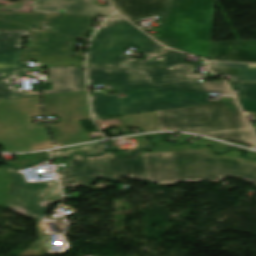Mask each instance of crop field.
Segmentation results:
<instances>
[{
  "instance_id": "obj_1",
  "label": "crop field",
  "mask_w": 256,
  "mask_h": 256,
  "mask_svg": "<svg viewBox=\"0 0 256 256\" xmlns=\"http://www.w3.org/2000/svg\"><path fill=\"white\" fill-rule=\"evenodd\" d=\"M185 55L166 49L164 71L168 85L153 86L144 70L87 68L89 87L110 84L115 93L90 95L94 118L151 112L208 104L206 93L194 82L191 64Z\"/></svg>"
},
{
  "instance_id": "obj_2",
  "label": "crop field",
  "mask_w": 256,
  "mask_h": 256,
  "mask_svg": "<svg viewBox=\"0 0 256 256\" xmlns=\"http://www.w3.org/2000/svg\"><path fill=\"white\" fill-rule=\"evenodd\" d=\"M129 20L158 13L160 43L208 59L215 0H109Z\"/></svg>"
},
{
  "instance_id": "obj_3",
  "label": "crop field",
  "mask_w": 256,
  "mask_h": 256,
  "mask_svg": "<svg viewBox=\"0 0 256 256\" xmlns=\"http://www.w3.org/2000/svg\"><path fill=\"white\" fill-rule=\"evenodd\" d=\"M142 156L147 179L160 185H176V181L217 182L227 176L243 178L256 185V165L209 157L204 150L148 153Z\"/></svg>"
},
{
  "instance_id": "obj_4",
  "label": "crop field",
  "mask_w": 256,
  "mask_h": 256,
  "mask_svg": "<svg viewBox=\"0 0 256 256\" xmlns=\"http://www.w3.org/2000/svg\"><path fill=\"white\" fill-rule=\"evenodd\" d=\"M129 47H137L140 53L160 54L163 50L121 16L110 17L90 43L87 66L152 68L163 63L164 55H146L141 60L120 57Z\"/></svg>"
},
{
  "instance_id": "obj_5",
  "label": "crop field",
  "mask_w": 256,
  "mask_h": 256,
  "mask_svg": "<svg viewBox=\"0 0 256 256\" xmlns=\"http://www.w3.org/2000/svg\"><path fill=\"white\" fill-rule=\"evenodd\" d=\"M44 14L0 11V30H31L29 37L35 43L23 50L19 61L57 54L73 55L77 38L91 29L94 16L60 14L54 20L56 32L39 30Z\"/></svg>"
},
{
  "instance_id": "obj_6",
  "label": "crop field",
  "mask_w": 256,
  "mask_h": 256,
  "mask_svg": "<svg viewBox=\"0 0 256 256\" xmlns=\"http://www.w3.org/2000/svg\"><path fill=\"white\" fill-rule=\"evenodd\" d=\"M159 130H180L240 141L255 140L235 102L156 112Z\"/></svg>"
},
{
  "instance_id": "obj_7",
  "label": "crop field",
  "mask_w": 256,
  "mask_h": 256,
  "mask_svg": "<svg viewBox=\"0 0 256 256\" xmlns=\"http://www.w3.org/2000/svg\"><path fill=\"white\" fill-rule=\"evenodd\" d=\"M41 115L39 96L0 101V144L8 152L54 147L44 126L33 127Z\"/></svg>"
},
{
  "instance_id": "obj_8",
  "label": "crop field",
  "mask_w": 256,
  "mask_h": 256,
  "mask_svg": "<svg viewBox=\"0 0 256 256\" xmlns=\"http://www.w3.org/2000/svg\"><path fill=\"white\" fill-rule=\"evenodd\" d=\"M70 164V167L56 172L62 186L92 185L97 178L106 181H116L126 176H131L133 180L146 179L141 151L128 160L115 157L114 152L100 160H87L75 154Z\"/></svg>"
},
{
  "instance_id": "obj_9",
  "label": "crop field",
  "mask_w": 256,
  "mask_h": 256,
  "mask_svg": "<svg viewBox=\"0 0 256 256\" xmlns=\"http://www.w3.org/2000/svg\"><path fill=\"white\" fill-rule=\"evenodd\" d=\"M13 184L6 206L32 218H43L45 208L62 200L57 181L29 183L21 173L6 166Z\"/></svg>"
},
{
  "instance_id": "obj_10",
  "label": "crop field",
  "mask_w": 256,
  "mask_h": 256,
  "mask_svg": "<svg viewBox=\"0 0 256 256\" xmlns=\"http://www.w3.org/2000/svg\"><path fill=\"white\" fill-rule=\"evenodd\" d=\"M30 31H0V100L39 95L36 92L17 94L8 79L19 77V71H33L27 63L18 62L22 51L20 37Z\"/></svg>"
},
{
  "instance_id": "obj_11",
  "label": "crop field",
  "mask_w": 256,
  "mask_h": 256,
  "mask_svg": "<svg viewBox=\"0 0 256 256\" xmlns=\"http://www.w3.org/2000/svg\"><path fill=\"white\" fill-rule=\"evenodd\" d=\"M67 14L108 15L113 12L110 6L98 7L92 0H34L33 12ZM112 14V13H111Z\"/></svg>"
},
{
  "instance_id": "obj_12",
  "label": "crop field",
  "mask_w": 256,
  "mask_h": 256,
  "mask_svg": "<svg viewBox=\"0 0 256 256\" xmlns=\"http://www.w3.org/2000/svg\"><path fill=\"white\" fill-rule=\"evenodd\" d=\"M48 72L52 90L43 91V95L86 90L84 70L79 67H48Z\"/></svg>"
},
{
  "instance_id": "obj_13",
  "label": "crop field",
  "mask_w": 256,
  "mask_h": 256,
  "mask_svg": "<svg viewBox=\"0 0 256 256\" xmlns=\"http://www.w3.org/2000/svg\"><path fill=\"white\" fill-rule=\"evenodd\" d=\"M209 60L256 62V40L211 43Z\"/></svg>"
},
{
  "instance_id": "obj_14",
  "label": "crop field",
  "mask_w": 256,
  "mask_h": 256,
  "mask_svg": "<svg viewBox=\"0 0 256 256\" xmlns=\"http://www.w3.org/2000/svg\"><path fill=\"white\" fill-rule=\"evenodd\" d=\"M232 90H238L244 111L256 112V82L228 81Z\"/></svg>"
},
{
  "instance_id": "obj_15",
  "label": "crop field",
  "mask_w": 256,
  "mask_h": 256,
  "mask_svg": "<svg viewBox=\"0 0 256 256\" xmlns=\"http://www.w3.org/2000/svg\"><path fill=\"white\" fill-rule=\"evenodd\" d=\"M127 127L137 125L142 132L158 130L155 112L120 116Z\"/></svg>"
},
{
  "instance_id": "obj_16",
  "label": "crop field",
  "mask_w": 256,
  "mask_h": 256,
  "mask_svg": "<svg viewBox=\"0 0 256 256\" xmlns=\"http://www.w3.org/2000/svg\"><path fill=\"white\" fill-rule=\"evenodd\" d=\"M152 140L158 145V147H157L155 150H153L152 152H163V151H189V150L205 149L206 152H207L210 156H215V155H213V154H211V153L209 152V148H207V147H199L198 149H192V148H189V147H188L189 144H184V145L179 146V147H170L168 143L160 142V141L162 140L161 137H156V138H153ZM142 153H148V152L142 151ZM215 157H221V158H227V159H238V160L244 161L245 163L256 164V160H246L245 158L239 157V152H237V151L230 152V153H228V154H226V155H223V156H215Z\"/></svg>"
},
{
  "instance_id": "obj_17",
  "label": "crop field",
  "mask_w": 256,
  "mask_h": 256,
  "mask_svg": "<svg viewBox=\"0 0 256 256\" xmlns=\"http://www.w3.org/2000/svg\"><path fill=\"white\" fill-rule=\"evenodd\" d=\"M83 150L84 154L87 156H98L103 154V149L100 142L90 143L85 145H80L76 147L64 148L56 151H50L52 157L67 158L68 155L74 151Z\"/></svg>"
},
{
  "instance_id": "obj_18",
  "label": "crop field",
  "mask_w": 256,
  "mask_h": 256,
  "mask_svg": "<svg viewBox=\"0 0 256 256\" xmlns=\"http://www.w3.org/2000/svg\"><path fill=\"white\" fill-rule=\"evenodd\" d=\"M209 67L240 68L238 81H256V64L210 62Z\"/></svg>"
},
{
  "instance_id": "obj_19",
  "label": "crop field",
  "mask_w": 256,
  "mask_h": 256,
  "mask_svg": "<svg viewBox=\"0 0 256 256\" xmlns=\"http://www.w3.org/2000/svg\"><path fill=\"white\" fill-rule=\"evenodd\" d=\"M36 224L39 241L33 247V252L52 250L49 222L38 221Z\"/></svg>"
},
{
  "instance_id": "obj_20",
  "label": "crop field",
  "mask_w": 256,
  "mask_h": 256,
  "mask_svg": "<svg viewBox=\"0 0 256 256\" xmlns=\"http://www.w3.org/2000/svg\"><path fill=\"white\" fill-rule=\"evenodd\" d=\"M40 63L44 65H56V66H69V65H77L83 66V61L74 59L71 57H67L64 55L51 56L46 58L38 59Z\"/></svg>"
},
{
  "instance_id": "obj_21",
  "label": "crop field",
  "mask_w": 256,
  "mask_h": 256,
  "mask_svg": "<svg viewBox=\"0 0 256 256\" xmlns=\"http://www.w3.org/2000/svg\"><path fill=\"white\" fill-rule=\"evenodd\" d=\"M12 180L5 167H0V205H5Z\"/></svg>"
},
{
  "instance_id": "obj_22",
  "label": "crop field",
  "mask_w": 256,
  "mask_h": 256,
  "mask_svg": "<svg viewBox=\"0 0 256 256\" xmlns=\"http://www.w3.org/2000/svg\"><path fill=\"white\" fill-rule=\"evenodd\" d=\"M48 153H36V154H25V155H16V162H8V164H12L14 167H24L30 164H34L45 157H48Z\"/></svg>"
},
{
  "instance_id": "obj_23",
  "label": "crop field",
  "mask_w": 256,
  "mask_h": 256,
  "mask_svg": "<svg viewBox=\"0 0 256 256\" xmlns=\"http://www.w3.org/2000/svg\"><path fill=\"white\" fill-rule=\"evenodd\" d=\"M200 85L203 87V89L206 91V93L210 92H222L227 95H231L227 86L224 84L223 81H217V82H199Z\"/></svg>"
},
{
  "instance_id": "obj_24",
  "label": "crop field",
  "mask_w": 256,
  "mask_h": 256,
  "mask_svg": "<svg viewBox=\"0 0 256 256\" xmlns=\"http://www.w3.org/2000/svg\"><path fill=\"white\" fill-rule=\"evenodd\" d=\"M146 72L153 85L167 84L162 69H146Z\"/></svg>"
},
{
  "instance_id": "obj_25",
  "label": "crop field",
  "mask_w": 256,
  "mask_h": 256,
  "mask_svg": "<svg viewBox=\"0 0 256 256\" xmlns=\"http://www.w3.org/2000/svg\"><path fill=\"white\" fill-rule=\"evenodd\" d=\"M197 144H211V145L214 146V151L215 152H224L225 149L227 148L226 145L214 142L212 140H209V139H206V138H203V137H200Z\"/></svg>"
},
{
  "instance_id": "obj_26",
  "label": "crop field",
  "mask_w": 256,
  "mask_h": 256,
  "mask_svg": "<svg viewBox=\"0 0 256 256\" xmlns=\"http://www.w3.org/2000/svg\"><path fill=\"white\" fill-rule=\"evenodd\" d=\"M217 75L238 74L239 69L210 68Z\"/></svg>"
},
{
  "instance_id": "obj_27",
  "label": "crop field",
  "mask_w": 256,
  "mask_h": 256,
  "mask_svg": "<svg viewBox=\"0 0 256 256\" xmlns=\"http://www.w3.org/2000/svg\"><path fill=\"white\" fill-rule=\"evenodd\" d=\"M58 16H59V14H45L43 22L54 25L53 19Z\"/></svg>"
},
{
  "instance_id": "obj_28",
  "label": "crop field",
  "mask_w": 256,
  "mask_h": 256,
  "mask_svg": "<svg viewBox=\"0 0 256 256\" xmlns=\"http://www.w3.org/2000/svg\"><path fill=\"white\" fill-rule=\"evenodd\" d=\"M36 242H37V241H36ZM36 242H34V243L32 244V247L35 245ZM32 247L29 248L28 250H26V251H25L24 253H22L20 256H41V255H42L43 252H41V253H33V252H32Z\"/></svg>"
},
{
  "instance_id": "obj_29",
  "label": "crop field",
  "mask_w": 256,
  "mask_h": 256,
  "mask_svg": "<svg viewBox=\"0 0 256 256\" xmlns=\"http://www.w3.org/2000/svg\"><path fill=\"white\" fill-rule=\"evenodd\" d=\"M187 137H188V135H186V134H181V136H180L178 142H180V141H185Z\"/></svg>"
},
{
  "instance_id": "obj_30",
  "label": "crop field",
  "mask_w": 256,
  "mask_h": 256,
  "mask_svg": "<svg viewBox=\"0 0 256 256\" xmlns=\"http://www.w3.org/2000/svg\"><path fill=\"white\" fill-rule=\"evenodd\" d=\"M247 155L251 158H256V153L255 152H248Z\"/></svg>"
},
{
  "instance_id": "obj_31",
  "label": "crop field",
  "mask_w": 256,
  "mask_h": 256,
  "mask_svg": "<svg viewBox=\"0 0 256 256\" xmlns=\"http://www.w3.org/2000/svg\"><path fill=\"white\" fill-rule=\"evenodd\" d=\"M256 114V113H255ZM254 132L256 133V128H253Z\"/></svg>"
}]
</instances>
